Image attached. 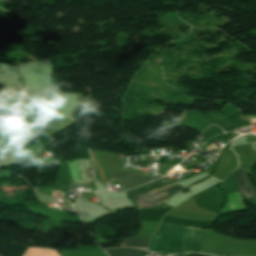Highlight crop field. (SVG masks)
Masks as SVG:
<instances>
[{
  "mask_svg": "<svg viewBox=\"0 0 256 256\" xmlns=\"http://www.w3.org/2000/svg\"><path fill=\"white\" fill-rule=\"evenodd\" d=\"M181 186L170 184L161 188L152 190L146 194L133 198L137 208H147L160 205L162 201L167 202L172 195L182 190Z\"/></svg>",
  "mask_w": 256,
  "mask_h": 256,
  "instance_id": "obj_2",
  "label": "crop field"
},
{
  "mask_svg": "<svg viewBox=\"0 0 256 256\" xmlns=\"http://www.w3.org/2000/svg\"><path fill=\"white\" fill-rule=\"evenodd\" d=\"M201 233L202 229L161 223L150 242L149 249L167 254L186 251L201 252Z\"/></svg>",
  "mask_w": 256,
  "mask_h": 256,
  "instance_id": "obj_1",
  "label": "crop field"
},
{
  "mask_svg": "<svg viewBox=\"0 0 256 256\" xmlns=\"http://www.w3.org/2000/svg\"><path fill=\"white\" fill-rule=\"evenodd\" d=\"M110 178L119 182L125 190L130 189L135 186L142 185L158 176L137 174L132 172H115L108 173Z\"/></svg>",
  "mask_w": 256,
  "mask_h": 256,
  "instance_id": "obj_3",
  "label": "crop field"
},
{
  "mask_svg": "<svg viewBox=\"0 0 256 256\" xmlns=\"http://www.w3.org/2000/svg\"><path fill=\"white\" fill-rule=\"evenodd\" d=\"M23 256H59L56 251L45 248H28Z\"/></svg>",
  "mask_w": 256,
  "mask_h": 256,
  "instance_id": "obj_6",
  "label": "crop field"
},
{
  "mask_svg": "<svg viewBox=\"0 0 256 256\" xmlns=\"http://www.w3.org/2000/svg\"><path fill=\"white\" fill-rule=\"evenodd\" d=\"M238 189L243 197L250 198L255 197L256 198V186H254L246 177V174L243 170L237 169L232 174Z\"/></svg>",
  "mask_w": 256,
  "mask_h": 256,
  "instance_id": "obj_4",
  "label": "crop field"
},
{
  "mask_svg": "<svg viewBox=\"0 0 256 256\" xmlns=\"http://www.w3.org/2000/svg\"><path fill=\"white\" fill-rule=\"evenodd\" d=\"M88 164H89V161H88ZM90 166V165H89Z\"/></svg>",
  "mask_w": 256,
  "mask_h": 256,
  "instance_id": "obj_8",
  "label": "crop field"
},
{
  "mask_svg": "<svg viewBox=\"0 0 256 256\" xmlns=\"http://www.w3.org/2000/svg\"><path fill=\"white\" fill-rule=\"evenodd\" d=\"M110 256H145L146 252L135 249H109L105 250Z\"/></svg>",
  "mask_w": 256,
  "mask_h": 256,
  "instance_id": "obj_5",
  "label": "crop field"
},
{
  "mask_svg": "<svg viewBox=\"0 0 256 256\" xmlns=\"http://www.w3.org/2000/svg\"><path fill=\"white\" fill-rule=\"evenodd\" d=\"M149 240L130 239L125 240V246L136 248H147Z\"/></svg>",
  "mask_w": 256,
  "mask_h": 256,
  "instance_id": "obj_7",
  "label": "crop field"
}]
</instances>
